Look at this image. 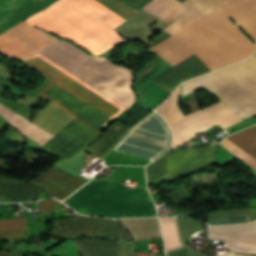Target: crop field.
Here are the masks:
<instances>
[{
    "instance_id": "15",
    "label": "crop field",
    "mask_w": 256,
    "mask_h": 256,
    "mask_svg": "<svg viewBox=\"0 0 256 256\" xmlns=\"http://www.w3.org/2000/svg\"><path fill=\"white\" fill-rule=\"evenodd\" d=\"M228 1L229 0H188L183 4L191 9L177 18L165 28L164 31L173 35Z\"/></svg>"
},
{
    "instance_id": "10",
    "label": "crop field",
    "mask_w": 256,
    "mask_h": 256,
    "mask_svg": "<svg viewBox=\"0 0 256 256\" xmlns=\"http://www.w3.org/2000/svg\"><path fill=\"white\" fill-rule=\"evenodd\" d=\"M216 144L180 150L162 156L147 165V183L173 180L185 173L215 162Z\"/></svg>"
},
{
    "instance_id": "2",
    "label": "crop field",
    "mask_w": 256,
    "mask_h": 256,
    "mask_svg": "<svg viewBox=\"0 0 256 256\" xmlns=\"http://www.w3.org/2000/svg\"><path fill=\"white\" fill-rule=\"evenodd\" d=\"M220 9L256 44V0H232ZM220 9L151 49L172 67L195 54L211 71L255 54L256 45Z\"/></svg>"
},
{
    "instance_id": "29",
    "label": "crop field",
    "mask_w": 256,
    "mask_h": 256,
    "mask_svg": "<svg viewBox=\"0 0 256 256\" xmlns=\"http://www.w3.org/2000/svg\"><path fill=\"white\" fill-rule=\"evenodd\" d=\"M120 1L130 6L134 10L139 11L145 5H147L151 0H120Z\"/></svg>"
},
{
    "instance_id": "4",
    "label": "crop field",
    "mask_w": 256,
    "mask_h": 256,
    "mask_svg": "<svg viewBox=\"0 0 256 256\" xmlns=\"http://www.w3.org/2000/svg\"><path fill=\"white\" fill-rule=\"evenodd\" d=\"M99 135L76 118L39 149L69 159L84 151ZM85 162L80 154L70 160L60 159L49 171L30 182L46 186L53 197L62 200L88 181L78 175Z\"/></svg>"
},
{
    "instance_id": "34",
    "label": "crop field",
    "mask_w": 256,
    "mask_h": 256,
    "mask_svg": "<svg viewBox=\"0 0 256 256\" xmlns=\"http://www.w3.org/2000/svg\"><path fill=\"white\" fill-rule=\"evenodd\" d=\"M0 256H9L8 253H0Z\"/></svg>"
},
{
    "instance_id": "6",
    "label": "crop field",
    "mask_w": 256,
    "mask_h": 256,
    "mask_svg": "<svg viewBox=\"0 0 256 256\" xmlns=\"http://www.w3.org/2000/svg\"><path fill=\"white\" fill-rule=\"evenodd\" d=\"M248 60L256 66V55ZM248 60L182 83L183 96L205 86L240 119L256 114V67Z\"/></svg>"
},
{
    "instance_id": "28",
    "label": "crop field",
    "mask_w": 256,
    "mask_h": 256,
    "mask_svg": "<svg viewBox=\"0 0 256 256\" xmlns=\"http://www.w3.org/2000/svg\"><path fill=\"white\" fill-rule=\"evenodd\" d=\"M134 243L121 242L119 256H135Z\"/></svg>"
},
{
    "instance_id": "7",
    "label": "crop field",
    "mask_w": 256,
    "mask_h": 256,
    "mask_svg": "<svg viewBox=\"0 0 256 256\" xmlns=\"http://www.w3.org/2000/svg\"><path fill=\"white\" fill-rule=\"evenodd\" d=\"M57 0H0V34ZM56 39L24 22L0 35V54L26 57L56 43Z\"/></svg>"
},
{
    "instance_id": "11",
    "label": "crop field",
    "mask_w": 256,
    "mask_h": 256,
    "mask_svg": "<svg viewBox=\"0 0 256 256\" xmlns=\"http://www.w3.org/2000/svg\"><path fill=\"white\" fill-rule=\"evenodd\" d=\"M53 234L65 240L81 235L133 240L123 224L90 216L54 220Z\"/></svg>"
},
{
    "instance_id": "18",
    "label": "crop field",
    "mask_w": 256,
    "mask_h": 256,
    "mask_svg": "<svg viewBox=\"0 0 256 256\" xmlns=\"http://www.w3.org/2000/svg\"><path fill=\"white\" fill-rule=\"evenodd\" d=\"M83 256H118L120 241L99 239H75Z\"/></svg>"
},
{
    "instance_id": "25",
    "label": "crop field",
    "mask_w": 256,
    "mask_h": 256,
    "mask_svg": "<svg viewBox=\"0 0 256 256\" xmlns=\"http://www.w3.org/2000/svg\"><path fill=\"white\" fill-rule=\"evenodd\" d=\"M97 1H99L100 3H102L103 5H105L106 7L116 12L117 14H119L125 19L131 16L133 13H135V11H133L126 5L122 4L118 0H97Z\"/></svg>"
},
{
    "instance_id": "5",
    "label": "crop field",
    "mask_w": 256,
    "mask_h": 256,
    "mask_svg": "<svg viewBox=\"0 0 256 256\" xmlns=\"http://www.w3.org/2000/svg\"><path fill=\"white\" fill-rule=\"evenodd\" d=\"M64 203L82 214L102 217L157 216L151 197L108 177L92 182Z\"/></svg>"
},
{
    "instance_id": "19",
    "label": "crop field",
    "mask_w": 256,
    "mask_h": 256,
    "mask_svg": "<svg viewBox=\"0 0 256 256\" xmlns=\"http://www.w3.org/2000/svg\"><path fill=\"white\" fill-rule=\"evenodd\" d=\"M0 114L8 122L13 124L18 130L24 132L25 134L31 136L32 138L43 144L50 140L52 137H54L2 105H0Z\"/></svg>"
},
{
    "instance_id": "17",
    "label": "crop field",
    "mask_w": 256,
    "mask_h": 256,
    "mask_svg": "<svg viewBox=\"0 0 256 256\" xmlns=\"http://www.w3.org/2000/svg\"><path fill=\"white\" fill-rule=\"evenodd\" d=\"M135 241L161 237L157 218L119 219Z\"/></svg>"
},
{
    "instance_id": "31",
    "label": "crop field",
    "mask_w": 256,
    "mask_h": 256,
    "mask_svg": "<svg viewBox=\"0 0 256 256\" xmlns=\"http://www.w3.org/2000/svg\"><path fill=\"white\" fill-rule=\"evenodd\" d=\"M236 256H245V255H238V254H235ZM234 253H225V254H221V255H216V256H235Z\"/></svg>"
},
{
    "instance_id": "33",
    "label": "crop field",
    "mask_w": 256,
    "mask_h": 256,
    "mask_svg": "<svg viewBox=\"0 0 256 256\" xmlns=\"http://www.w3.org/2000/svg\"><path fill=\"white\" fill-rule=\"evenodd\" d=\"M7 121L0 116V128L6 123Z\"/></svg>"
},
{
    "instance_id": "9",
    "label": "crop field",
    "mask_w": 256,
    "mask_h": 256,
    "mask_svg": "<svg viewBox=\"0 0 256 256\" xmlns=\"http://www.w3.org/2000/svg\"><path fill=\"white\" fill-rule=\"evenodd\" d=\"M158 115V114H157ZM154 112L133 126L113 150L153 160L163 154L170 141V131Z\"/></svg>"
},
{
    "instance_id": "22",
    "label": "crop field",
    "mask_w": 256,
    "mask_h": 256,
    "mask_svg": "<svg viewBox=\"0 0 256 256\" xmlns=\"http://www.w3.org/2000/svg\"><path fill=\"white\" fill-rule=\"evenodd\" d=\"M234 216H247L248 222L255 221L256 207L246 208V209L222 210V211L209 213L207 220L228 218V217H234ZM244 222H247L246 217H235V218H228V219L211 220V221H207L206 223L211 225H223V224L244 223Z\"/></svg>"
},
{
    "instance_id": "13",
    "label": "crop field",
    "mask_w": 256,
    "mask_h": 256,
    "mask_svg": "<svg viewBox=\"0 0 256 256\" xmlns=\"http://www.w3.org/2000/svg\"><path fill=\"white\" fill-rule=\"evenodd\" d=\"M207 72L210 70L194 55L153 80L171 93L182 81Z\"/></svg>"
},
{
    "instance_id": "21",
    "label": "crop field",
    "mask_w": 256,
    "mask_h": 256,
    "mask_svg": "<svg viewBox=\"0 0 256 256\" xmlns=\"http://www.w3.org/2000/svg\"><path fill=\"white\" fill-rule=\"evenodd\" d=\"M129 129L130 127L117 121L106 133L88 147L86 151L104 157Z\"/></svg>"
},
{
    "instance_id": "12",
    "label": "crop field",
    "mask_w": 256,
    "mask_h": 256,
    "mask_svg": "<svg viewBox=\"0 0 256 256\" xmlns=\"http://www.w3.org/2000/svg\"><path fill=\"white\" fill-rule=\"evenodd\" d=\"M210 240H223L229 251L256 253V222L232 226H211Z\"/></svg>"
},
{
    "instance_id": "23",
    "label": "crop field",
    "mask_w": 256,
    "mask_h": 256,
    "mask_svg": "<svg viewBox=\"0 0 256 256\" xmlns=\"http://www.w3.org/2000/svg\"><path fill=\"white\" fill-rule=\"evenodd\" d=\"M166 250L182 245L177 218H159Z\"/></svg>"
},
{
    "instance_id": "3",
    "label": "crop field",
    "mask_w": 256,
    "mask_h": 256,
    "mask_svg": "<svg viewBox=\"0 0 256 256\" xmlns=\"http://www.w3.org/2000/svg\"><path fill=\"white\" fill-rule=\"evenodd\" d=\"M124 21L95 0H59L27 23L69 38L96 54L123 39L112 29Z\"/></svg>"
},
{
    "instance_id": "30",
    "label": "crop field",
    "mask_w": 256,
    "mask_h": 256,
    "mask_svg": "<svg viewBox=\"0 0 256 256\" xmlns=\"http://www.w3.org/2000/svg\"><path fill=\"white\" fill-rule=\"evenodd\" d=\"M5 139L20 143L23 138L11 128V130L6 135Z\"/></svg>"
},
{
    "instance_id": "1",
    "label": "crop field",
    "mask_w": 256,
    "mask_h": 256,
    "mask_svg": "<svg viewBox=\"0 0 256 256\" xmlns=\"http://www.w3.org/2000/svg\"><path fill=\"white\" fill-rule=\"evenodd\" d=\"M40 53L124 108H129L134 102L135 94L131 89L133 72L107 60L100 63L59 40L58 44ZM41 54L24 60L54 82L38 91L49 101L99 133L126 111Z\"/></svg>"
},
{
    "instance_id": "24",
    "label": "crop field",
    "mask_w": 256,
    "mask_h": 256,
    "mask_svg": "<svg viewBox=\"0 0 256 256\" xmlns=\"http://www.w3.org/2000/svg\"><path fill=\"white\" fill-rule=\"evenodd\" d=\"M27 228L26 218L0 221V237L12 238L23 236Z\"/></svg>"
},
{
    "instance_id": "8",
    "label": "crop field",
    "mask_w": 256,
    "mask_h": 256,
    "mask_svg": "<svg viewBox=\"0 0 256 256\" xmlns=\"http://www.w3.org/2000/svg\"><path fill=\"white\" fill-rule=\"evenodd\" d=\"M179 97L180 86L156 110L167 120L173 132L172 148L218 124L225 129L241 121L221 101L184 116L178 105Z\"/></svg>"
},
{
    "instance_id": "20",
    "label": "crop field",
    "mask_w": 256,
    "mask_h": 256,
    "mask_svg": "<svg viewBox=\"0 0 256 256\" xmlns=\"http://www.w3.org/2000/svg\"><path fill=\"white\" fill-rule=\"evenodd\" d=\"M143 9L170 24L190 8L177 0H152Z\"/></svg>"
},
{
    "instance_id": "27",
    "label": "crop field",
    "mask_w": 256,
    "mask_h": 256,
    "mask_svg": "<svg viewBox=\"0 0 256 256\" xmlns=\"http://www.w3.org/2000/svg\"><path fill=\"white\" fill-rule=\"evenodd\" d=\"M167 255L168 256H203V255L193 251L192 249H190L187 246H184L180 250L170 251L167 253Z\"/></svg>"
},
{
    "instance_id": "26",
    "label": "crop field",
    "mask_w": 256,
    "mask_h": 256,
    "mask_svg": "<svg viewBox=\"0 0 256 256\" xmlns=\"http://www.w3.org/2000/svg\"><path fill=\"white\" fill-rule=\"evenodd\" d=\"M41 213H51L58 211L54 206L61 204L59 201L53 199V198H48L45 200H41L38 202Z\"/></svg>"
},
{
    "instance_id": "16",
    "label": "crop field",
    "mask_w": 256,
    "mask_h": 256,
    "mask_svg": "<svg viewBox=\"0 0 256 256\" xmlns=\"http://www.w3.org/2000/svg\"><path fill=\"white\" fill-rule=\"evenodd\" d=\"M46 188L7 178H0V202L36 200Z\"/></svg>"
},
{
    "instance_id": "35",
    "label": "crop field",
    "mask_w": 256,
    "mask_h": 256,
    "mask_svg": "<svg viewBox=\"0 0 256 256\" xmlns=\"http://www.w3.org/2000/svg\"><path fill=\"white\" fill-rule=\"evenodd\" d=\"M180 1H182V2H183V1H185V0H180Z\"/></svg>"
},
{
    "instance_id": "14",
    "label": "crop field",
    "mask_w": 256,
    "mask_h": 256,
    "mask_svg": "<svg viewBox=\"0 0 256 256\" xmlns=\"http://www.w3.org/2000/svg\"><path fill=\"white\" fill-rule=\"evenodd\" d=\"M256 126V125H255ZM252 126L246 130H242L236 134H233L227 138L249 153L256 159V127ZM223 140L220 144L246 162L248 165L256 170V160L232 143L228 139Z\"/></svg>"
},
{
    "instance_id": "32",
    "label": "crop field",
    "mask_w": 256,
    "mask_h": 256,
    "mask_svg": "<svg viewBox=\"0 0 256 256\" xmlns=\"http://www.w3.org/2000/svg\"><path fill=\"white\" fill-rule=\"evenodd\" d=\"M136 256H155V255H149L148 253L136 252Z\"/></svg>"
}]
</instances>
